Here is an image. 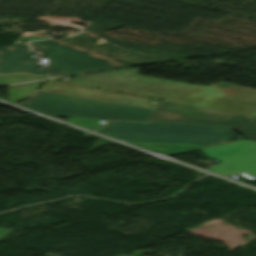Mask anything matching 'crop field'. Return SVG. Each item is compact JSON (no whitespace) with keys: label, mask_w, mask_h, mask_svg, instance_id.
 <instances>
[{"label":"crop field","mask_w":256,"mask_h":256,"mask_svg":"<svg viewBox=\"0 0 256 256\" xmlns=\"http://www.w3.org/2000/svg\"><path fill=\"white\" fill-rule=\"evenodd\" d=\"M97 132L129 143L218 145L235 139L228 127L109 122Z\"/></svg>","instance_id":"1"},{"label":"crop field","mask_w":256,"mask_h":256,"mask_svg":"<svg viewBox=\"0 0 256 256\" xmlns=\"http://www.w3.org/2000/svg\"><path fill=\"white\" fill-rule=\"evenodd\" d=\"M19 105L51 117H75L120 121H147L150 110L35 92Z\"/></svg>","instance_id":"2"},{"label":"crop field","mask_w":256,"mask_h":256,"mask_svg":"<svg viewBox=\"0 0 256 256\" xmlns=\"http://www.w3.org/2000/svg\"><path fill=\"white\" fill-rule=\"evenodd\" d=\"M29 44L33 51L41 50L50 59L53 77L130 67L55 39Z\"/></svg>","instance_id":"3"},{"label":"crop field","mask_w":256,"mask_h":256,"mask_svg":"<svg viewBox=\"0 0 256 256\" xmlns=\"http://www.w3.org/2000/svg\"><path fill=\"white\" fill-rule=\"evenodd\" d=\"M149 121L203 125H228L256 141V123L238 114L161 101Z\"/></svg>","instance_id":"4"},{"label":"crop field","mask_w":256,"mask_h":256,"mask_svg":"<svg viewBox=\"0 0 256 256\" xmlns=\"http://www.w3.org/2000/svg\"><path fill=\"white\" fill-rule=\"evenodd\" d=\"M206 155L220 160L216 167L208 171L227 176L242 175L256 181V143L244 140L201 149Z\"/></svg>","instance_id":"5"},{"label":"crop field","mask_w":256,"mask_h":256,"mask_svg":"<svg viewBox=\"0 0 256 256\" xmlns=\"http://www.w3.org/2000/svg\"><path fill=\"white\" fill-rule=\"evenodd\" d=\"M27 44L0 48V75L27 74L49 78L47 71H38Z\"/></svg>","instance_id":"6"},{"label":"crop field","mask_w":256,"mask_h":256,"mask_svg":"<svg viewBox=\"0 0 256 256\" xmlns=\"http://www.w3.org/2000/svg\"><path fill=\"white\" fill-rule=\"evenodd\" d=\"M144 148L154 149L169 155L188 152L195 149L203 148L204 146H190V145H162V144H137Z\"/></svg>","instance_id":"7"},{"label":"crop field","mask_w":256,"mask_h":256,"mask_svg":"<svg viewBox=\"0 0 256 256\" xmlns=\"http://www.w3.org/2000/svg\"><path fill=\"white\" fill-rule=\"evenodd\" d=\"M69 19L75 20V21L80 20V19H77V18H53V17H38L37 18V20H39V21L51 22L53 24V26L83 28L81 26L71 25V24L67 23V21Z\"/></svg>","instance_id":"8"},{"label":"crop field","mask_w":256,"mask_h":256,"mask_svg":"<svg viewBox=\"0 0 256 256\" xmlns=\"http://www.w3.org/2000/svg\"><path fill=\"white\" fill-rule=\"evenodd\" d=\"M68 122L89 128L96 129L100 127V120H92V119H75V118H66Z\"/></svg>","instance_id":"9"},{"label":"crop field","mask_w":256,"mask_h":256,"mask_svg":"<svg viewBox=\"0 0 256 256\" xmlns=\"http://www.w3.org/2000/svg\"><path fill=\"white\" fill-rule=\"evenodd\" d=\"M46 34H47L46 31L37 32V33H27V34L21 35L17 39V41H19L20 44H23V43H26V41H28V40H40V39L50 38V37L44 36ZM13 45H16V42Z\"/></svg>","instance_id":"10"},{"label":"crop field","mask_w":256,"mask_h":256,"mask_svg":"<svg viewBox=\"0 0 256 256\" xmlns=\"http://www.w3.org/2000/svg\"><path fill=\"white\" fill-rule=\"evenodd\" d=\"M33 80H41V79L26 77V76L0 77V85L17 83V82H25V81H33Z\"/></svg>","instance_id":"11"},{"label":"crop field","mask_w":256,"mask_h":256,"mask_svg":"<svg viewBox=\"0 0 256 256\" xmlns=\"http://www.w3.org/2000/svg\"><path fill=\"white\" fill-rule=\"evenodd\" d=\"M7 232H9V231L0 228V238H1L3 235H5Z\"/></svg>","instance_id":"12"},{"label":"crop field","mask_w":256,"mask_h":256,"mask_svg":"<svg viewBox=\"0 0 256 256\" xmlns=\"http://www.w3.org/2000/svg\"><path fill=\"white\" fill-rule=\"evenodd\" d=\"M51 26H52V24H51Z\"/></svg>","instance_id":"13"}]
</instances>
